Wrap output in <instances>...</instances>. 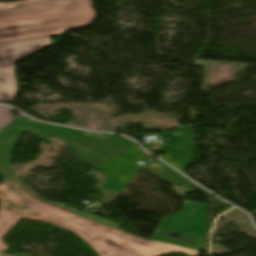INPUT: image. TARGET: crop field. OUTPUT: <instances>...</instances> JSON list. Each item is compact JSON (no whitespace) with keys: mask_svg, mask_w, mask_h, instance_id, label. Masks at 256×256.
Instances as JSON below:
<instances>
[{"mask_svg":"<svg viewBox=\"0 0 256 256\" xmlns=\"http://www.w3.org/2000/svg\"><path fill=\"white\" fill-rule=\"evenodd\" d=\"M84 213H85V212H84ZM82 216H85V217H87V218L93 219V220H95V221L101 222V223H103V224L109 225V226L114 227V228H116V227L119 226V225H117V224H114V223H112V222L103 220V219L98 218V217H95V216H92V215L87 214V213L83 214Z\"/></svg>","mask_w":256,"mask_h":256,"instance_id":"obj_8","label":"crop field"},{"mask_svg":"<svg viewBox=\"0 0 256 256\" xmlns=\"http://www.w3.org/2000/svg\"><path fill=\"white\" fill-rule=\"evenodd\" d=\"M2 255V253H0V256Z\"/></svg>","mask_w":256,"mask_h":256,"instance_id":"obj_10","label":"crop field"},{"mask_svg":"<svg viewBox=\"0 0 256 256\" xmlns=\"http://www.w3.org/2000/svg\"><path fill=\"white\" fill-rule=\"evenodd\" d=\"M22 132H30L41 139H46L50 136L60 137L65 140L69 149L97 169L134 145V143L125 138L113 137L108 142H105L86 137L82 135V131L15 119L0 134V173L5 179L14 176L10 170V158Z\"/></svg>","mask_w":256,"mask_h":256,"instance_id":"obj_3","label":"crop field"},{"mask_svg":"<svg viewBox=\"0 0 256 256\" xmlns=\"http://www.w3.org/2000/svg\"><path fill=\"white\" fill-rule=\"evenodd\" d=\"M151 239L206 251V205L184 200V209L163 219Z\"/></svg>","mask_w":256,"mask_h":256,"instance_id":"obj_4","label":"crop field"},{"mask_svg":"<svg viewBox=\"0 0 256 256\" xmlns=\"http://www.w3.org/2000/svg\"><path fill=\"white\" fill-rule=\"evenodd\" d=\"M2 256H8V255L3 254Z\"/></svg>","mask_w":256,"mask_h":256,"instance_id":"obj_9","label":"crop field"},{"mask_svg":"<svg viewBox=\"0 0 256 256\" xmlns=\"http://www.w3.org/2000/svg\"><path fill=\"white\" fill-rule=\"evenodd\" d=\"M52 43L48 37L0 45V101L12 102L18 90L14 62Z\"/></svg>","mask_w":256,"mask_h":256,"instance_id":"obj_5","label":"crop field"},{"mask_svg":"<svg viewBox=\"0 0 256 256\" xmlns=\"http://www.w3.org/2000/svg\"><path fill=\"white\" fill-rule=\"evenodd\" d=\"M141 169L158 176L159 178L167 181L168 183L180 185V186L198 188L192 183L188 182L189 180L187 181L186 179H184L182 176H180L178 173H176L174 170H172L170 167H168L162 162L150 161L147 164H145Z\"/></svg>","mask_w":256,"mask_h":256,"instance_id":"obj_6","label":"crop field"},{"mask_svg":"<svg viewBox=\"0 0 256 256\" xmlns=\"http://www.w3.org/2000/svg\"><path fill=\"white\" fill-rule=\"evenodd\" d=\"M14 110L0 106V128L4 129L15 117L11 114Z\"/></svg>","mask_w":256,"mask_h":256,"instance_id":"obj_7","label":"crop field"},{"mask_svg":"<svg viewBox=\"0 0 256 256\" xmlns=\"http://www.w3.org/2000/svg\"><path fill=\"white\" fill-rule=\"evenodd\" d=\"M0 132H1V130H0Z\"/></svg>","mask_w":256,"mask_h":256,"instance_id":"obj_11","label":"crop field"},{"mask_svg":"<svg viewBox=\"0 0 256 256\" xmlns=\"http://www.w3.org/2000/svg\"><path fill=\"white\" fill-rule=\"evenodd\" d=\"M0 209V252L9 249L2 237L23 218L67 229L81 237L99 256H160L172 251L189 255L198 253L189 248L147 241L50 205L34 198L15 180L0 185Z\"/></svg>","mask_w":256,"mask_h":256,"instance_id":"obj_1","label":"crop field"},{"mask_svg":"<svg viewBox=\"0 0 256 256\" xmlns=\"http://www.w3.org/2000/svg\"><path fill=\"white\" fill-rule=\"evenodd\" d=\"M92 0H21L0 4V43L86 26L95 19Z\"/></svg>","mask_w":256,"mask_h":256,"instance_id":"obj_2","label":"crop field"}]
</instances>
